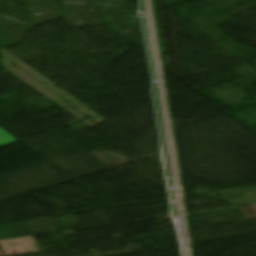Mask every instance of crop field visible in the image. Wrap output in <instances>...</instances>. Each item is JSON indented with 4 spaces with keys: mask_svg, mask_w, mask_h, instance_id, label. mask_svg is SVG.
I'll return each mask as SVG.
<instances>
[{
    "mask_svg": "<svg viewBox=\"0 0 256 256\" xmlns=\"http://www.w3.org/2000/svg\"><path fill=\"white\" fill-rule=\"evenodd\" d=\"M13 141H17L14 137L0 128V145L7 144Z\"/></svg>",
    "mask_w": 256,
    "mask_h": 256,
    "instance_id": "8a807250",
    "label": "crop field"
}]
</instances>
